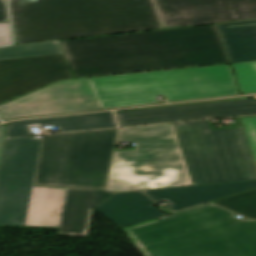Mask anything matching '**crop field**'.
Instances as JSON below:
<instances>
[{
	"label": "crop field",
	"mask_w": 256,
	"mask_h": 256,
	"mask_svg": "<svg viewBox=\"0 0 256 256\" xmlns=\"http://www.w3.org/2000/svg\"><path fill=\"white\" fill-rule=\"evenodd\" d=\"M59 43L75 78L229 63L216 25Z\"/></svg>",
	"instance_id": "crop-field-1"
},
{
	"label": "crop field",
	"mask_w": 256,
	"mask_h": 256,
	"mask_svg": "<svg viewBox=\"0 0 256 256\" xmlns=\"http://www.w3.org/2000/svg\"><path fill=\"white\" fill-rule=\"evenodd\" d=\"M43 140L5 139L0 161V225L59 227L87 236L93 208L114 192L33 186Z\"/></svg>",
	"instance_id": "crop-field-2"
},
{
	"label": "crop field",
	"mask_w": 256,
	"mask_h": 256,
	"mask_svg": "<svg viewBox=\"0 0 256 256\" xmlns=\"http://www.w3.org/2000/svg\"><path fill=\"white\" fill-rule=\"evenodd\" d=\"M15 44L161 29L151 0H9Z\"/></svg>",
	"instance_id": "crop-field-3"
},
{
	"label": "crop field",
	"mask_w": 256,
	"mask_h": 256,
	"mask_svg": "<svg viewBox=\"0 0 256 256\" xmlns=\"http://www.w3.org/2000/svg\"><path fill=\"white\" fill-rule=\"evenodd\" d=\"M123 230L144 256H256V221L213 204Z\"/></svg>",
	"instance_id": "crop-field-4"
},
{
	"label": "crop field",
	"mask_w": 256,
	"mask_h": 256,
	"mask_svg": "<svg viewBox=\"0 0 256 256\" xmlns=\"http://www.w3.org/2000/svg\"><path fill=\"white\" fill-rule=\"evenodd\" d=\"M101 109L238 94L229 65L87 78Z\"/></svg>",
	"instance_id": "crop-field-5"
},
{
	"label": "crop field",
	"mask_w": 256,
	"mask_h": 256,
	"mask_svg": "<svg viewBox=\"0 0 256 256\" xmlns=\"http://www.w3.org/2000/svg\"><path fill=\"white\" fill-rule=\"evenodd\" d=\"M117 141L136 148L114 153L107 189L193 185L172 124L120 129Z\"/></svg>",
	"instance_id": "crop-field-6"
},
{
	"label": "crop field",
	"mask_w": 256,
	"mask_h": 256,
	"mask_svg": "<svg viewBox=\"0 0 256 256\" xmlns=\"http://www.w3.org/2000/svg\"><path fill=\"white\" fill-rule=\"evenodd\" d=\"M116 132L45 136L34 185L103 189Z\"/></svg>",
	"instance_id": "crop-field-7"
},
{
	"label": "crop field",
	"mask_w": 256,
	"mask_h": 256,
	"mask_svg": "<svg viewBox=\"0 0 256 256\" xmlns=\"http://www.w3.org/2000/svg\"><path fill=\"white\" fill-rule=\"evenodd\" d=\"M173 125L194 185L256 179L243 128L210 131L208 121Z\"/></svg>",
	"instance_id": "crop-field-8"
},
{
	"label": "crop field",
	"mask_w": 256,
	"mask_h": 256,
	"mask_svg": "<svg viewBox=\"0 0 256 256\" xmlns=\"http://www.w3.org/2000/svg\"><path fill=\"white\" fill-rule=\"evenodd\" d=\"M100 109L86 78L59 81L0 105L4 121L13 118Z\"/></svg>",
	"instance_id": "crop-field-9"
},
{
	"label": "crop field",
	"mask_w": 256,
	"mask_h": 256,
	"mask_svg": "<svg viewBox=\"0 0 256 256\" xmlns=\"http://www.w3.org/2000/svg\"><path fill=\"white\" fill-rule=\"evenodd\" d=\"M165 28L256 18V0H153Z\"/></svg>",
	"instance_id": "crop-field-10"
},
{
	"label": "crop field",
	"mask_w": 256,
	"mask_h": 256,
	"mask_svg": "<svg viewBox=\"0 0 256 256\" xmlns=\"http://www.w3.org/2000/svg\"><path fill=\"white\" fill-rule=\"evenodd\" d=\"M67 78L63 54L0 61V103Z\"/></svg>",
	"instance_id": "crop-field-11"
},
{
	"label": "crop field",
	"mask_w": 256,
	"mask_h": 256,
	"mask_svg": "<svg viewBox=\"0 0 256 256\" xmlns=\"http://www.w3.org/2000/svg\"><path fill=\"white\" fill-rule=\"evenodd\" d=\"M120 126L256 114L251 99L115 112Z\"/></svg>",
	"instance_id": "crop-field-12"
},
{
	"label": "crop field",
	"mask_w": 256,
	"mask_h": 256,
	"mask_svg": "<svg viewBox=\"0 0 256 256\" xmlns=\"http://www.w3.org/2000/svg\"><path fill=\"white\" fill-rule=\"evenodd\" d=\"M256 188V180L142 190L155 201H167L172 211L206 203Z\"/></svg>",
	"instance_id": "crop-field-13"
},
{
	"label": "crop field",
	"mask_w": 256,
	"mask_h": 256,
	"mask_svg": "<svg viewBox=\"0 0 256 256\" xmlns=\"http://www.w3.org/2000/svg\"><path fill=\"white\" fill-rule=\"evenodd\" d=\"M150 198L141 192L117 193L97 210L120 228L164 216L154 208Z\"/></svg>",
	"instance_id": "crop-field-14"
},
{
	"label": "crop field",
	"mask_w": 256,
	"mask_h": 256,
	"mask_svg": "<svg viewBox=\"0 0 256 256\" xmlns=\"http://www.w3.org/2000/svg\"><path fill=\"white\" fill-rule=\"evenodd\" d=\"M57 126L60 132L116 127L112 112L19 121L8 124L5 138L32 135L29 127Z\"/></svg>",
	"instance_id": "crop-field-15"
},
{
	"label": "crop field",
	"mask_w": 256,
	"mask_h": 256,
	"mask_svg": "<svg viewBox=\"0 0 256 256\" xmlns=\"http://www.w3.org/2000/svg\"><path fill=\"white\" fill-rule=\"evenodd\" d=\"M218 26L231 63L256 61V21Z\"/></svg>",
	"instance_id": "crop-field-16"
},
{
	"label": "crop field",
	"mask_w": 256,
	"mask_h": 256,
	"mask_svg": "<svg viewBox=\"0 0 256 256\" xmlns=\"http://www.w3.org/2000/svg\"><path fill=\"white\" fill-rule=\"evenodd\" d=\"M63 53L58 40L11 45L0 48V60Z\"/></svg>",
	"instance_id": "crop-field-17"
},
{
	"label": "crop field",
	"mask_w": 256,
	"mask_h": 256,
	"mask_svg": "<svg viewBox=\"0 0 256 256\" xmlns=\"http://www.w3.org/2000/svg\"><path fill=\"white\" fill-rule=\"evenodd\" d=\"M250 219H256V190L214 202Z\"/></svg>",
	"instance_id": "crop-field-18"
},
{
	"label": "crop field",
	"mask_w": 256,
	"mask_h": 256,
	"mask_svg": "<svg viewBox=\"0 0 256 256\" xmlns=\"http://www.w3.org/2000/svg\"><path fill=\"white\" fill-rule=\"evenodd\" d=\"M241 93H256V62L231 64Z\"/></svg>",
	"instance_id": "crop-field-19"
},
{
	"label": "crop field",
	"mask_w": 256,
	"mask_h": 256,
	"mask_svg": "<svg viewBox=\"0 0 256 256\" xmlns=\"http://www.w3.org/2000/svg\"><path fill=\"white\" fill-rule=\"evenodd\" d=\"M240 119L244 125V131L256 162V117H246Z\"/></svg>",
	"instance_id": "crop-field-20"
},
{
	"label": "crop field",
	"mask_w": 256,
	"mask_h": 256,
	"mask_svg": "<svg viewBox=\"0 0 256 256\" xmlns=\"http://www.w3.org/2000/svg\"><path fill=\"white\" fill-rule=\"evenodd\" d=\"M11 43L9 23H0V46Z\"/></svg>",
	"instance_id": "crop-field-21"
},
{
	"label": "crop field",
	"mask_w": 256,
	"mask_h": 256,
	"mask_svg": "<svg viewBox=\"0 0 256 256\" xmlns=\"http://www.w3.org/2000/svg\"><path fill=\"white\" fill-rule=\"evenodd\" d=\"M0 22H8L5 0H0Z\"/></svg>",
	"instance_id": "crop-field-22"
},
{
	"label": "crop field",
	"mask_w": 256,
	"mask_h": 256,
	"mask_svg": "<svg viewBox=\"0 0 256 256\" xmlns=\"http://www.w3.org/2000/svg\"><path fill=\"white\" fill-rule=\"evenodd\" d=\"M244 98H251L250 96L246 97H236V98H227V99H217V100H207V101H198V102H188V103H180V104H172V105H181V104H192V103H202V102H213V101H223V100H234V99H244ZM170 106V105H165ZM160 107V106H157ZM150 108V107H149Z\"/></svg>",
	"instance_id": "crop-field-23"
},
{
	"label": "crop field",
	"mask_w": 256,
	"mask_h": 256,
	"mask_svg": "<svg viewBox=\"0 0 256 256\" xmlns=\"http://www.w3.org/2000/svg\"><path fill=\"white\" fill-rule=\"evenodd\" d=\"M7 124L0 126V156H1V151H2V146H3V141H4V136L6 132Z\"/></svg>",
	"instance_id": "crop-field-24"
}]
</instances>
